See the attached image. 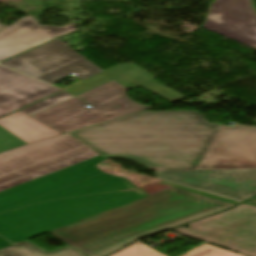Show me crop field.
Wrapping results in <instances>:
<instances>
[{
  "instance_id": "obj_1",
  "label": "crop field",
  "mask_w": 256,
  "mask_h": 256,
  "mask_svg": "<svg viewBox=\"0 0 256 256\" xmlns=\"http://www.w3.org/2000/svg\"><path fill=\"white\" fill-rule=\"evenodd\" d=\"M101 155L0 193V234L19 243L149 196L97 165Z\"/></svg>"
},
{
  "instance_id": "obj_2",
  "label": "crop field",
  "mask_w": 256,
  "mask_h": 256,
  "mask_svg": "<svg viewBox=\"0 0 256 256\" xmlns=\"http://www.w3.org/2000/svg\"><path fill=\"white\" fill-rule=\"evenodd\" d=\"M204 120L197 111L139 112L67 134L105 158L196 169L220 128Z\"/></svg>"
},
{
  "instance_id": "obj_3",
  "label": "crop field",
  "mask_w": 256,
  "mask_h": 256,
  "mask_svg": "<svg viewBox=\"0 0 256 256\" xmlns=\"http://www.w3.org/2000/svg\"><path fill=\"white\" fill-rule=\"evenodd\" d=\"M233 206L169 188L96 216L51 231L87 256H104L139 237L172 228Z\"/></svg>"
},
{
  "instance_id": "obj_4",
  "label": "crop field",
  "mask_w": 256,
  "mask_h": 256,
  "mask_svg": "<svg viewBox=\"0 0 256 256\" xmlns=\"http://www.w3.org/2000/svg\"><path fill=\"white\" fill-rule=\"evenodd\" d=\"M126 90L111 81L77 96L91 104V109L84 107L86 104L73 97L32 117L62 133H67L152 108L129 100Z\"/></svg>"
},
{
  "instance_id": "obj_5",
  "label": "crop field",
  "mask_w": 256,
  "mask_h": 256,
  "mask_svg": "<svg viewBox=\"0 0 256 256\" xmlns=\"http://www.w3.org/2000/svg\"><path fill=\"white\" fill-rule=\"evenodd\" d=\"M175 232L191 236L249 256H256V207L240 204L230 210L201 219Z\"/></svg>"
},
{
  "instance_id": "obj_6",
  "label": "crop field",
  "mask_w": 256,
  "mask_h": 256,
  "mask_svg": "<svg viewBox=\"0 0 256 256\" xmlns=\"http://www.w3.org/2000/svg\"><path fill=\"white\" fill-rule=\"evenodd\" d=\"M2 65L47 83L71 73L85 80L101 72V69L58 39L20 54Z\"/></svg>"
},
{
  "instance_id": "obj_7",
  "label": "crop field",
  "mask_w": 256,
  "mask_h": 256,
  "mask_svg": "<svg viewBox=\"0 0 256 256\" xmlns=\"http://www.w3.org/2000/svg\"><path fill=\"white\" fill-rule=\"evenodd\" d=\"M91 151L67 134L0 154V184Z\"/></svg>"
},
{
  "instance_id": "obj_8",
  "label": "crop field",
  "mask_w": 256,
  "mask_h": 256,
  "mask_svg": "<svg viewBox=\"0 0 256 256\" xmlns=\"http://www.w3.org/2000/svg\"><path fill=\"white\" fill-rule=\"evenodd\" d=\"M156 178L236 200L256 194V169L155 171Z\"/></svg>"
},
{
  "instance_id": "obj_9",
  "label": "crop field",
  "mask_w": 256,
  "mask_h": 256,
  "mask_svg": "<svg viewBox=\"0 0 256 256\" xmlns=\"http://www.w3.org/2000/svg\"><path fill=\"white\" fill-rule=\"evenodd\" d=\"M202 27L256 49V12L250 0H215Z\"/></svg>"
},
{
  "instance_id": "obj_10",
  "label": "crop field",
  "mask_w": 256,
  "mask_h": 256,
  "mask_svg": "<svg viewBox=\"0 0 256 256\" xmlns=\"http://www.w3.org/2000/svg\"><path fill=\"white\" fill-rule=\"evenodd\" d=\"M154 78L146 70L135 64H120L65 90L77 96L113 80L128 89L143 87L171 102L185 98L181 94L153 81Z\"/></svg>"
},
{
  "instance_id": "obj_11",
  "label": "crop field",
  "mask_w": 256,
  "mask_h": 256,
  "mask_svg": "<svg viewBox=\"0 0 256 256\" xmlns=\"http://www.w3.org/2000/svg\"><path fill=\"white\" fill-rule=\"evenodd\" d=\"M74 30L75 24L44 27L38 25L34 17L25 16L0 32V61Z\"/></svg>"
},
{
  "instance_id": "obj_12",
  "label": "crop field",
  "mask_w": 256,
  "mask_h": 256,
  "mask_svg": "<svg viewBox=\"0 0 256 256\" xmlns=\"http://www.w3.org/2000/svg\"><path fill=\"white\" fill-rule=\"evenodd\" d=\"M217 158L256 161V127L223 126L197 169H211Z\"/></svg>"
},
{
  "instance_id": "obj_13",
  "label": "crop field",
  "mask_w": 256,
  "mask_h": 256,
  "mask_svg": "<svg viewBox=\"0 0 256 256\" xmlns=\"http://www.w3.org/2000/svg\"><path fill=\"white\" fill-rule=\"evenodd\" d=\"M58 90L0 66V117Z\"/></svg>"
},
{
  "instance_id": "obj_14",
  "label": "crop field",
  "mask_w": 256,
  "mask_h": 256,
  "mask_svg": "<svg viewBox=\"0 0 256 256\" xmlns=\"http://www.w3.org/2000/svg\"><path fill=\"white\" fill-rule=\"evenodd\" d=\"M0 125L27 143L60 134L19 111L0 119Z\"/></svg>"
},
{
  "instance_id": "obj_15",
  "label": "crop field",
  "mask_w": 256,
  "mask_h": 256,
  "mask_svg": "<svg viewBox=\"0 0 256 256\" xmlns=\"http://www.w3.org/2000/svg\"><path fill=\"white\" fill-rule=\"evenodd\" d=\"M113 256H165L138 242ZM181 256H246L209 244H202Z\"/></svg>"
},
{
  "instance_id": "obj_16",
  "label": "crop field",
  "mask_w": 256,
  "mask_h": 256,
  "mask_svg": "<svg viewBox=\"0 0 256 256\" xmlns=\"http://www.w3.org/2000/svg\"><path fill=\"white\" fill-rule=\"evenodd\" d=\"M0 256H85L81 252L67 246L48 252L28 241L0 250Z\"/></svg>"
},
{
  "instance_id": "obj_17",
  "label": "crop field",
  "mask_w": 256,
  "mask_h": 256,
  "mask_svg": "<svg viewBox=\"0 0 256 256\" xmlns=\"http://www.w3.org/2000/svg\"><path fill=\"white\" fill-rule=\"evenodd\" d=\"M96 155H99V154L91 151V152H88L86 154L80 155L78 157L72 158L70 160L61 162L59 164H56V165L47 167L45 169L36 171L34 173H31V174H28L26 176L20 177L18 179L12 180L10 182L1 184L0 185V192L3 191V190H6V189L12 188L14 186L20 185L22 183L28 182L30 180L36 179L38 177L44 176V175L49 174L51 172L57 171L59 169L65 168V167L70 166L72 164L78 163L80 161L86 160L88 158L94 157Z\"/></svg>"
},
{
  "instance_id": "obj_18",
  "label": "crop field",
  "mask_w": 256,
  "mask_h": 256,
  "mask_svg": "<svg viewBox=\"0 0 256 256\" xmlns=\"http://www.w3.org/2000/svg\"><path fill=\"white\" fill-rule=\"evenodd\" d=\"M71 97H73L71 94L63 91L21 111L32 116Z\"/></svg>"
},
{
  "instance_id": "obj_19",
  "label": "crop field",
  "mask_w": 256,
  "mask_h": 256,
  "mask_svg": "<svg viewBox=\"0 0 256 256\" xmlns=\"http://www.w3.org/2000/svg\"><path fill=\"white\" fill-rule=\"evenodd\" d=\"M22 144H25V142L0 126V151Z\"/></svg>"
},
{
  "instance_id": "obj_20",
  "label": "crop field",
  "mask_w": 256,
  "mask_h": 256,
  "mask_svg": "<svg viewBox=\"0 0 256 256\" xmlns=\"http://www.w3.org/2000/svg\"><path fill=\"white\" fill-rule=\"evenodd\" d=\"M256 168V162L221 159L217 169Z\"/></svg>"
},
{
  "instance_id": "obj_21",
  "label": "crop field",
  "mask_w": 256,
  "mask_h": 256,
  "mask_svg": "<svg viewBox=\"0 0 256 256\" xmlns=\"http://www.w3.org/2000/svg\"><path fill=\"white\" fill-rule=\"evenodd\" d=\"M161 183L165 184V185H168V186H171V187H176V188L184 189V190L191 191V192H194V193H198V194H201V195H204V196H208V197L215 198V199H218V200H222V201H225V202H228V203H232L234 205L238 204V202L233 201V200H229V199L217 197V196H214V195L198 192V191H195V190H191V189H188V188H184V187H181V186H178V185H174V184H170V183H166V182H161Z\"/></svg>"
},
{
  "instance_id": "obj_22",
  "label": "crop field",
  "mask_w": 256,
  "mask_h": 256,
  "mask_svg": "<svg viewBox=\"0 0 256 256\" xmlns=\"http://www.w3.org/2000/svg\"><path fill=\"white\" fill-rule=\"evenodd\" d=\"M169 188L168 186H165V185H162V184H159V183H156V184H153L151 186H148V187H145V188H142L144 191H146L148 194L150 195H153L157 192H160L164 189H167Z\"/></svg>"
},
{
  "instance_id": "obj_23",
  "label": "crop field",
  "mask_w": 256,
  "mask_h": 256,
  "mask_svg": "<svg viewBox=\"0 0 256 256\" xmlns=\"http://www.w3.org/2000/svg\"><path fill=\"white\" fill-rule=\"evenodd\" d=\"M12 244L8 243L7 241H5L4 239H2L0 237V249L1 248H4V247H7V246H11Z\"/></svg>"
},
{
  "instance_id": "obj_24",
  "label": "crop field",
  "mask_w": 256,
  "mask_h": 256,
  "mask_svg": "<svg viewBox=\"0 0 256 256\" xmlns=\"http://www.w3.org/2000/svg\"><path fill=\"white\" fill-rule=\"evenodd\" d=\"M245 203L252 204V205L256 206V197L252 198L251 200H249V201H247Z\"/></svg>"
},
{
  "instance_id": "obj_25",
  "label": "crop field",
  "mask_w": 256,
  "mask_h": 256,
  "mask_svg": "<svg viewBox=\"0 0 256 256\" xmlns=\"http://www.w3.org/2000/svg\"><path fill=\"white\" fill-rule=\"evenodd\" d=\"M220 159H217V161L215 162L214 166L212 167V169H216L218 163H219Z\"/></svg>"
},
{
  "instance_id": "obj_26",
  "label": "crop field",
  "mask_w": 256,
  "mask_h": 256,
  "mask_svg": "<svg viewBox=\"0 0 256 256\" xmlns=\"http://www.w3.org/2000/svg\"><path fill=\"white\" fill-rule=\"evenodd\" d=\"M5 27H7V26L0 24V31H1L2 29H4Z\"/></svg>"
},
{
  "instance_id": "obj_27",
  "label": "crop field",
  "mask_w": 256,
  "mask_h": 256,
  "mask_svg": "<svg viewBox=\"0 0 256 256\" xmlns=\"http://www.w3.org/2000/svg\"><path fill=\"white\" fill-rule=\"evenodd\" d=\"M153 170H162L161 168H151Z\"/></svg>"
}]
</instances>
